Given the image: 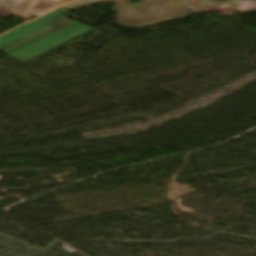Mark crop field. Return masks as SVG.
Instances as JSON below:
<instances>
[{"label":"crop field","mask_w":256,"mask_h":256,"mask_svg":"<svg viewBox=\"0 0 256 256\" xmlns=\"http://www.w3.org/2000/svg\"><path fill=\"white\" fill-rule=\"evenodd\" d=\"M114 0H78L61 6L73 11L87 4L112 2ZM117 1L118 26L144 28L151 25L196 15L197 12L182 4V0H140V6L131 5L127 0ZM205 5L230 6V0H203Z\"/></svg>","instance_id":"obj_1"},{"label":"crop field","mask_w":256,"mask_h":256,"mask_svg":"<svg viewBox=\"0 0 256 256\" xmlns=\"http://www.w3.org/2000/svg\"><path fill=\"white\" fill-rule=\"evenodd\" d=\"M74 23H76V22L65 18V19H63V20H61V21H59V22H57L55 24H52V25H50V26H48V27H46V28H44V29H42L40 31H37V32L27 36V37H24V38L14 42V43H12V44H9V45L1 48L0 51L8 54V53H10V52H12V51H14L16 49H19V48H21V47H23L25 45H28V44L36 41V40H39V39H41V38H43L45 36H48V35L56 32V31H59V30L65 28V27H68V26H70V25H72ZM92 30L93 29L87 27V28H85V29L75 33V34H72V35H70V36H68L66 38H63V39L55 42V43H52V44H50V45H48L46 47H43V48H41V49H39L37 51H34V52H32V53H30V54H28L26 56H23V57L17 59V61L23 63V62H25V61L33 58V57H36V56H38V55H40V54H42V53H44V52H46L48 50H51V49H53V48H55V47L65 43V42H68V41H70V40H72V39H74V38H76V37H78V36H80L82 34L90 32Z\"/></svg>","instance_id":"obj_2"},{"label":"crop field","mask_w":256,"mask_h":256,"mask_svg":"<svg viewBox=\"0 0 256 256\" xmlns=\"http://www.w3.org/2000/svg\"><path fill=\"white\" fill-rule=\"evenodd\" d=\"M55 7V4L51 0H22L11 15L18 18L36 14L42 15Z\"/></svg>","instance_id":"obj_3"},{"label":"crop field","mask_w":256,"mask_h":256,"mask_svg":"<svg viewBox=\"0 0 256 256\" xmlns=\"http://www.w3.org/2000/svg\"><path fill=\"white\" fill-rule=\"evenodd\" d=\"M21 0H0V17L8 19Z\"/></svg>","instance_id":"obj_4"},{"label":"crop field","mask_w":256,"mask_h":256,"mask_svg":"<svg viewBox=\"0 0 256 256\" xmlns=\"http://www.w3.org/2000/svg\"><path fill=\"white\" fill-rule=\"evenodd\" d=\"M236 4V10L238 11H256V3L243 1V0H234Z\"/></svg>","instance_id":"obj_5"},{"label":"crop field","mask_w":256,"mask_h":256,"mask_svg":"<svg viewBox=\"0 0 256 256\" xmlns=\"http://www.w3.org/2000/svg\"><path fill=\"white\" fill-rule=\"evenodd\" d=\"M58 6L62 5V4H65V3H68V2H71V1H74V0H53Z\"/></svg>","instance_id":"obj_6"}]
</instances>
